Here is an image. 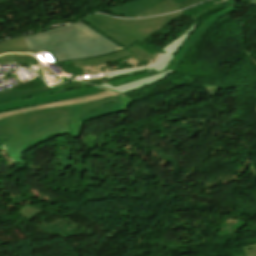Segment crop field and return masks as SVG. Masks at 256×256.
<instances>
[{
  "mask_svg": "<svg viewBox=\"0 0 256 256\" xmlns=\"http://www.w3.org/2000/svg\"><path fill=\"white\" fill-rule=\"evenodd\" d=\"M117 95L118 94L113 93L109 90H106L104 92H100V93H97V94H94V95H91V96H87V97L76 98V99L60 101V102H54V103L39 105V106L31 107V108L0 113V119L6 118V117H9V116H12V115H16V114H19V113H23V112H29V111H34V110H40V109H46V108H52V107H59V106H65V105H72V104H78V103H85V102H91V101H99V100L114 97V96H117Z\"/></svg>",
  "mask_w": 256,
  "mask_h": 256,
  "instance_id": "crop-field-7",
  "label": "crop field"
},
{
  "mask_svg": "<svg viewBox=\"0 0 256 256\" xmlns=\"http://www.w3.org/2000/svg\"><path fill=\"white\" fill-rule=\"evenodd\" d=\"M128 49L138 60H148L150 57H154L137 45Z\"/></svg>",
  "mask_w": 256,
  "mask_h": 256,
  "instance_id": "crop-field-16",
  "label": "crop field"
},
{
  "mask_svg": "<svg viewBox=\"0 0 256 256\" xmlns=\"http://www.w3.org/2000/svg\"><path fill=\"white\" fill-rule=\"evenodd\" d=\"M239 6L235 5L231 8L225 9L223 11H220L216 14H214L212 17H210L207 21L204 23L200 24L199 27L194 31V33L187 39L186 43L184 46L181 48L179 53L176 55L174 60L176 61H183L185 58L186 54L189 52V50L192 48V46L195 44V42L198 40V38L201 36V34L214 22H216L219 18L224 16L226 13L232 11L233 9L237 8ZM219 16V17H217ZM192 43V45H190Z\"/></svg>",
  "mask_w": 256,
  "mask_h": 256,
  "instance_id": "crop-field-8",
  "label": "crop field"
},
{
  "mask_svg": "<svg viewBox=\"0 0 256 256\" xmlns=\"http://www.w3.org/2000/svg\"><path fill=\"white\" fill-rule=\"evenodd\" d=\"M128 56L135 58L128 50L124 49V50L114 53L112 55L91 58V59H85V60H79V61H73L72 63L79 65V66H90V65L104 64V63L118 60V59L128 57Z\"/></svg>",
  "mask_w": 256,
  "mask_h": 256,
  "instance_id": "crop-field-13",
  "label": "crop field"
},
{
  "mask_svg": "<svg viewBox=\"0 0 256 256\" xmlns=\"http://www.w3.org/2000/svg\"><path fill=\"white\" fill-rule=\"evenodd\" d=\"M128 100L120 95L100 102H91L19 114L0 120V141L11 157L20 158L18 150L47 138L68 132L65 117H77L100 109L109 102Z\"/></svg>",
  "mask_w": 256,
  "mask_h": 256,
  "instance_id": "crop-field-1",
  "label": "crop field"
},
{
  "mask_svg": "<svg viewBox=\"0 0 256 256\" xmlns=\"http://www.w3.org/2000/svg\"><path fill=\"white\" fill-rule=\"evenodd\" d=\"M161 1L163 0H133L109 9L108 11L119 14V17H133L152 8Z\"/></svg>",
  "mask_w": 256,
  "mask_h": 256,
  "instance_id": "crop-field-9",
  "label": "crop field"
},
{
  "mask_svg": "<svg viewBox=\"0 0 256 256\" xmlns=\"http://www.w3.org/2000/svg\"><path fill=\"white\" fill-rule=\"evenodd\" d=\"M180 14L182 11L142 20H121L92 14L84 20L128 47L137 40L146 41Z\"/></svg>",
  "mask_w": 256,
  "mask_h": 256,
  "instance_id": "crop-field-3",
  "label": "crop field"
},
{
  "mask_svg": "<svg viewBox=\"0 0 256 256\" xmlns=\"http://www.w3.org/2000/svg\"><path fill=\"white\" fill-rule=\"evenodd\" d=\"M163 73H164V75H162V73H161V74H159L157 76H154V77H151V78H147V79H144V80H141V81H137V82L121 85V86H118L116 88H113V87H111V86H109L107 84H102V85H98V86L103 87V88H107V89H110V90H113V91H117V92H120V93L124 94V93L130 92L132 90L138 89L140 87H143L145 85H148L150 83H153V82H156L158 80H161V79L167 77L168 75H170L173 72L166 71V72H163Z\"/></svg>",
  "mask_w": 256,
  "mask_h": 256,
  "instance_id": "crop-field-12",
  "label": "crop field"
},
{
  "mask_svg": "<svg viewBox=\"0 0 256 256\" xmlns=\"http://www.w3.org/2000/svg\"><path fill=\"white\" fill-rule=\"evenodd\" d=\"M43 52H48L53 57V60L55 59L51 51H40V52H11V53H34L35 55L41 54Z\"/></svg>",
  "mask_w": 256,
  "mask_h": 256,
  "instance_id": "crop-field-19",
  "label": "crop field"
},
{
  "mask_svg": "<svg viewBox=\"0 0 256 256\" xmlns=\"http://www.w3.org/2000/svg\"><path fill=\"white\" fill-rule=\"evenodd\" d=\"M10 51H28L22 37L0 43V53Z\"/></svg>",
  "mask_w": 256,
  "mask_h": 256,
  "instance_id": "crop-field-15",
  "label": "crop field"
},
{
  "mask_svg": "<svg viewBox=\"0 0 256 256\" xmlns=\"http://www.w3.org/2000/svg\"><path fill=\"white\" fill-rule=\"evenodd\" d=\"M174 1L180 7V9H182L186 6L198 3V2L203 1V0H174Z\"/></svg>",
  "mask_w": 256,
  "mask_h": 256,
  "instance_id": "crop-field-18",
  "label": "crop field"
},
{
  "mask_svg": "<svg viewBox=\"0 0 256 256\" xmlns=\"http://www.w3.org/2000/svg\"><path fill=\"white\" fill-rule=\"evenodd\" d=\"M0 62H17V64L34 65L35 71L43 78L46 73H51V71L42 66V64L35 58V56L30 54H6L0 56Z\"/></svg>",
  "mask_w": 256,
  "mask_h": 256,
  "instance_id": "crop-field-11",
  "label": "crop field"
},
{
  "mask_svg": "<svg viewBox=\"0 0 256 256\" xmlns=\"http://www.w3.org/2000/svg\"><path fill=\"white\" fill-rule=\"evenodd\" d=\"M239 256H244V255H239Z\"/></svg>",
  "mask_w": 256,
  "mask_h": 256,
  "instance_id": "crop-field-21",
  "label": "crop field"
},
{
  "mask_svg": "<svg viewBox=\"0 0 256 256\" xmlns=\"http://www.w3.org/2000/svg\"><path fill=\"white\" fill-rule=\"evenodd\" d=\"M3 149V146H0V150Z\"/></svg>",
  "mask_w": 256,
  "mask_h": 256,
  "instance_id": "crop-field-20",
  "label": "crop field"
},
{
  "mask_svg": "<svg viewBox=\"0 0 256 256\" xmlns=\"http://www.w3.org/2000/svg\"><path fill=\"white\" fill-rule=\"evenodd\" d=\"M100 89L101 88L93 86L90 88L67 92V93H60V94H56V95H49V96L38 97V98H33V99H28V100L16 101V102H12V103H6L3 105H0V112L31 107V106L49 103V102H53V101H59V100L80 97V96H84L87 94L95 93V92L99 91Z\"/></svg>",
  "mask_w": 256,
  "mask_h": 256,
  "instance_id": "crop-field-5",
  "label": "crop field"
},
{
  "mask_svg": "<svg viewBox=\"0 0 256 256\" xmlns=\"http://www.w3.org/2000/svg\"><path fill=\"white\" fill-rule=\"evenodd\" d=\"M132 101H125V102H116V103H110V104H104L102 105V109L77 117V118H66L67 119V124H68V129L69 133L74 136L79 138L80 133H81V128H82V122L88 121L91 119L99 118L102 116L110 115V114H115V113H121L125 112L127 108L131 105ZM80 139V138H79Z\"/></svg>",
  "mask_w": 256,
  "mask_h": 256,
  "instance_id": "crop-field-6",
  "label": "crop field"
},
{
  "mask_svg": "<svg viewBox=\"0 0 256 256\" xmlns=\"http://www.w3.org/2000/svg\"><path fill=\"white\" fill-rule=\"evenodd\" d=\"M199 23H195L193 26H191L188 30H186L182 35H180L178 38H176L174 41L169 43L167 46H165L162 50L165 53L158 54L157 58L155 59L154 63H151L144 67L139 68H131V69H124V70H117V71H111L105 73L106 77L102 78H108L112 76H118V75H124L131 72H136L143 69H156L157 71H163L167 64L174 58V56L177 54V52L180 50L182 45L185 43L186 39L193 33V31L198 27ZM100 79V78H98Z\"/></svg>",
  "mask_w": 256,
  "mask_h": 256,
  "instance_id": "crop-field-4",
  "label": "crop field"
},
{
  "mask_svg": "<svg viewBox=\"0 0 256 256\" xmlns=\"http://www.w3.org/2000/svg\"><path fill=\"white\" fill-rule=\"evenodd\" d=\"M23 38L29 51L52 50L57 61L97 57L123 49L80 22Z\"/></svg>",
  "mask_w": 256,
  "mask_h": 256,
  "instance_id": "crop-field-2",
  "label": "crop field"
},
{
  "mask_svg": "<svg viewBox=\"0 0 256 256\" xmlns=\"http://www.w3.org/2000/svg\"><path fill=\"white\" fill-rule=\"evenodd\" d=\"M59 92H63L62 89L60 88V86L53 88V89L46 86L43 88L28 90V91H24V92H16V91L7 90V91L0 92V104L6 103V102H11V101H16V100L44 96V95H48V94H55V93H59Z\"/></svg>",
  "mask_w": 256,
  "mask_h": 256,
  "instance_id": "crop-field-10",
  "label": "crop field"
},
{
  "mask_svg": "<svg viewBox=\"0 0 256 256\" xmlns=\"http://www.w3.org/2000/svg\"><path fill=\"white\" fill-rule=\"evenodd\" d=\"M175 10H180L179 7L173 2V0H164L159 5H156L154 8L149 9L146 12H143L142 14L136 16V17H144V16H150V15H157L161 13L166 12H172ZM135 18V17H133Z\"/></svg>",
  "mask_w": 256,
  "mask_h": 256,
  "instance_id": "crop-field-14",
  "label": "crop field"
},
{
  "mask_svg": "<svg viewBox=\"0 0 256 256\" xmlns=\"http://www.w3.org/2000/svg\"><path fill=\"white\" fill-rule=\"evenodd\" d=\"M241 250L245 256H256V244L242 247Z\"/></svg>",
  "mask_w": 256,
  "mask_h": 256,
  "instance_id": "crop-field-17",
  "label": "crop field"
}]
</instances>
